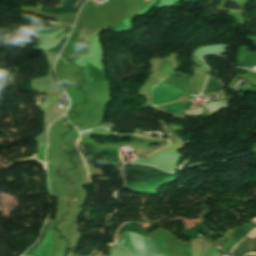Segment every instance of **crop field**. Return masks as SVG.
Here are the masks:
<instances>
[{"label":"crop field","instance_id":"obj_1","mask_svg":"<svg viewBox=\"0 0 256 256\" xmlns=\"http://www.w3.org/2000/svg\"><path fill=\"white\" fill-rule=\"evenodd\" d=\"M125 180L147 182L153 177H170L174 174L164 173L150 166L124 165Z\"/></svg>","mask_w":256,"mask_h":256},{"label":"crop field","instance_id":"obj_6","mask_svg":"<svg viewBox=\"0 0 256 256\" xmlns=\"http://www.w3.org/2000/svg\"><path fill=\"white\" fill-rule=\"evenodd\" d=\"M187 106H188L187 103H185V104L171 103V104H166V105H162V106H158V107H154V108L157 110H160V111L170 113L176 117L183 118L179 113H180L181 109H183Z\"/></svg>","mask_w":256,"mask_h":256},{"label":"crop field","instance_id":"obj_9","mask_svg":"<svg viewBox=\"0 0 256 256\" xmlns=\"http://www.w3.org/2000/svg\"><path fill=\"white\" fill-rule=\"evenodd\" d=\"M197 77L198 75H194L193 81H192V90L194 95H198L197 85H196Z\"/></svg>","mask_w":256,"mask_h":256},{"label":"crop field","instance_id":"obj_3","mask_svg":"<svg viewBox=\"0 0 256 256\" xmlns=\"http://www.w3.org/2000/svg\"><path fill=\"white\" fill-rule=\"evenodd\" d=\"M77 0H66L65 3L61 6V7H72L74 5V3ZM79 1V0H78ZM77 1V2H78ZM85 0H80L77 4V2L75 3V5L73 7L75 8H44L41 7V11H47V12H52V13H72V12H77L80 5L84 2Z\"/></svg>","mask_w":256,"mask_h":256},{"label":"crop field","instance_id":"obj_5","mask_svg":"<svg viewBox=\"0 0 256 256\" xmlns=\"http://www.w3.org/2000/svg\"><path fill=\"white\" fill-rule=\"evenodd\" d=\"M118 151H119L118 147L105 146V147H102L98 151L97 154L107 157L109 162L112 163V164H119ZM119 160H120V156H119Z\"/></svg>","mask_w":256,"mask_h":256},{"label":"crop field","instance_id":"obj_10","mask_svg":"<svg viewBox=\"0 0 256 256\" xmlns=\"http://www.w3.org/2000/svg\"><path fill=\"white\" fill-rule=\"evenodd\" d=\"M60 110H62L61 108H58L57 110H56V112H59Z\"/></svg>","mask_w":256,"mask_h":256},{"label":"crop field","instance_id":"obj_8","mask_svg":"<svg viewBox=\"0 0 256 256\" xmlns=\"http://www.w3.org/2000/svg\"><path fill=\"white\" fill-rule=\"evenodd\" d=\"M66 39H67V37L63 38L56 47H54L52 49H49V50H46V51L59 53V51L62 48L63 44L65 43Z\"/></svg>","mask_w":256,"mask_h":256},{"label":"crop field","instance_id":"obj_4","mask_svg":"<svg viewBox=\"0 0 256 256\" xmlns=\"http://www.w3.org/2000/svg\"><path fill=\"white\" fill-rule=\"evenodd\" d=\"M256 248V240H253L252 237L247 236L245 240L234 249L232 252L233 256H243L251 249Z\"/></svg>","mask_w":256,"mask_h":256},{"label":"crop field","instance_id":"obj_7","mask_svg":"<svg viewBox=\"0 0 256 256\" xmlns=\"http://www.w3.org/2000/svg\"><path fill=\"white\" fill-rule=\"evenodd\" d=\"M222 90V85L218 80L213 77H209L203 93L219 92Z\"/></svg>","mask_w":256,"mask_h":256},{"label":"crop field","instance_id":"obj_2","mask_svg":"<svg viewBox=\"0 0 256 256\" xmlns=\"http://www.w3.org/2000/svg\"><path fill=\"white\" fill-rule=\"evenodd\" d=\"M183 94L185 92L160 82L153 88V105L169 103Z\"/></svg>","mask_w":256,"mask_h":256}]
</instances>
